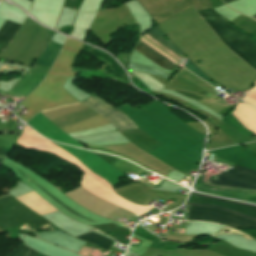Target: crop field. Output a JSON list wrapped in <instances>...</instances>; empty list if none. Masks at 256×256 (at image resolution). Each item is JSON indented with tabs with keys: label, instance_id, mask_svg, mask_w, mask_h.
I'll return each instance as SVG.
<instances>
[{
	"label": "crop field",
	"instance_id": "8a807250",
	"mask_svg": "<svg viewBox=\"0 0 256 256\" xmlns=\"http://www.w3.org/2000/svg\"><path fill=\"white\" fill-rule=\"evenodd\" d=\"M214 30L219 39L249 66L256 70V43L231 25L212 9L197 11Z\"/></svg>",
	"mask_w": 256,
	"mask_h": 256
},
{
	"label": "crop field",
	"instance_id": "ac0d7876",
	"mask_svg": "<svg viewBox=\"0 0 256 256\" xmlns=\"http://www.w3.org/2000/svg\"><path fill=\"white\" fill-rule=\"evenodd\" d=\"M187 220L223 223L232 228H256V222L238 215L207 207L189 206Z\"/></svg>",
	"mask_w": 256,
	"mask_h": 256
},
{
	"label": "crop field",
	"instance_id": "34b2d1b8",
	"mask_svg": "<svg viewBox=\"0 0 256 256\" xmlns=\"http://www.w3.org/2000/svg\"><path fill=\"white\" fill-rule=\"evenodd\" d=\"M97 113L105 116L110 122H112L119 130L137 128L126 116H124L117 109H113L100 99L96 97H90L81 102Z\"/></svg>",
	"mask_w": 256,
	"mask_h": 256
},
{
	"label": "crop field",
	"instance_id": "412701ff",
	"mask_svg": "<svg viewBox=\"0 0 256 256\" xmlns=\"http://www.w3.org/2000/svg\"><path fill=\"white\" fill-rule=\"evenodd\" d=\"M225 173L232 174V175L256 182V171H252V170L234 165L231 169L225 171ZM225 173L218 176L217 183L232 186V187H237V188L256 190L255 182L248 181V180L238 178L232 175H228Z\"/></svg>",
	"mask_w": 256,
	"mask_h": 256
},
{
	"label": "crop field",
	"instance_id": "f4fd0767",
	"mask_svg": "<svg viewBox=\"0 0 256 256\" xmlns=\"http://www.w3.org/2000/svg\"><path fill=\"white\" fill-rule=\"evenodd\" d=\"M147 35L151 36L153 39H155L156 41H158L159 43H161L163 46H165L166 48H168L170 51H172L173 53H175L177 56L182 55L183 53L176 48L171 42L164 40V34L162 33V31L159 29V27H155L153 28V30L149 31L148 33H146ZM145 35L144 38L145 40H147L149 43L153 44L154 46H156L157 48H159L160 50H162L163 52L167 53L168 55H170L171 57H173L178 63H180L181 60L179 57H177L176 55H174L172 52H170L168 49H166L165 47H163L161 44L157 43L156 41H154L152 38H150L149 36Z\"/></svg>",
	"mask_w": 256,
	"mask_h": 256
},
{
	"label": "crop field",
	"instance_id": "dd49c442",
	"mask_svg": "<svg viewBox=\"0 0 256 256\" xmlns=\"http://www.w3.org/2000/svg\"><path fill=\"white\" fill-rule=\"evenodd\" d=\"M142 46H144L145 48H147L149 51H151L152 53H154L155 55H157L158 57H160L161 59H163L165 62H167L168 64H170L171 66L174 67L175 62L167 57L166 55H164L162 52H160L159 50H157L156 48H154L153 46H151L149 43H147L145 40H141L140 43ZM141 45H138L137 48L135 50H137L138 52H140L141 54H143L144 56H146L147 58H149L150 60H152L153 62H155L156 64H158L159 66L163 67L164 69H166L167 71L170 72V70L173 68L170 65H168L167 63H165L163 60H161L160 58H158L157 56H155L154 54H152L151 52H149L148 50H146L144 47H142ZM162 68V69H163Z\"/></svg>",
	"mask_w": 256,
	"mask_h": 256
},
{
	"label": "crop field",
	"instance_id": "e52e79f7",
	"mask_svg": "<svg viewBox=\"0 0 256 256\" xmlns=\"http://www.w3.org/2000/svg\"><path fill=\"white\" fill-rule=\"evenodd\" d=\"M20 25L6 20L0 28V51L10 42Z\"/></svg>",
	"mask_w": 256,
	"mask_h": 256
},
{
	"label": "crop field",
	"instance_id": "d8731c3e",
	"mask_svg": "<svg viewBox=\"0 0 256 256\" xmlns=\"http://www.w3.org/2000/svg\"><path fill=\"white\" fill-rule=\"evenodd\" d=\"M61 48V45L54 44L49 42L45 50L40 55L37 64H42L45 66L50 67V65L53 63L56 55L58 54L59 50Z\"/></svg>",
	"mask_w": 256,
	"mask_h": 256
},
{
	"label": "crop field",
	"instance_id": "5a996713",
	"mask_svg": "<svg viewBox=\"0 0 256 256\" xmlns=\"http://www.w3.org/2000/svg\"><path fill=\"white\" fill-rule=\"evenodd\" d=\"M79 239H82L84 241H87L91 244L98 245L106 250V248L113 242V240L108 239L106 237H103L99 234H96L94 232L85 234L83 236L77 237Z\"/></svg>",
	"mask_w": 256,
	"mask_h": 256
},
{
	"label": "crop field",
	"instance_id": "3316defc",
	"mask_svg": "<svg viewBox=\"0 0 256 256\" xmlns=\"http://www.w3.org/2000/svg\"><path fill=\"white\" fill-rule=\"evenodd\" d=\"M128 69L149 73V74H152V75H155V76L167 79V80H169V78H170V76H168V75H166V74H164V73H162V72H160V71H158L154 68L139 65V64H135V63H131V62H129Z\"/></svg>",
	"mask_w": 256,
	"mask_h": 256
},
{
	"label": "crop field",
	"instance_id": "28ad6ade",
	"mask_svg": "<svg viewBox=\"0 0 256 256\" xmlns=\"http://www.w3.org/2000/svg\"><path fill=\"white\" fill-rule=\"evenodd\" d=\"M194 195H196V196H201V197H206V198H211V199H216V200H222V201L232 202V203H235V204H238V205H244V206H250V207H255V208H256V206H253V205L238 203V202H234V201H230V200H226V199H222V198H218V197L207 196V195H202V194H198V193H194ZM188 205H199V206L216 207V208H220V209H223V210H227V211L236 213V214H238V215H241V216H244V217H246V218H249V219H252V220H255V221H256V218H253V217H250V216H246V215L240 214V213H238V212H235V211H232V210H229V209H227V208L220 207V206H217V205L196 204V203H189Z\"/></svg>",
	"mask_w": 256,
	"mask_h": 256
},
{
	"label": "crop field",
	"instance_id": "d1516ede",
	"mask_svg": "<svg viewBox=\"0 0 256 256\" xmlns=\"http://www.w3.org/2000/svg\"><path fill=\"white\" fill-rule=\"evenodd\" d=\"M37 252L27 248L23 244L20 245L17 251H12L8 256H36Z\"/></svg>",
	"mask_w": 256,
	"mask_h": 256
},
{
	"label": "crop field",
	"instance_id": "22f410ed",
	"mask_svg": "<svg viewBox=\"0 0 256 256\" xmlns=\"http://www.w3.org/2000/svg\"><path fill=\"white\" fill-rule=\"evenodd\" d=\"M184 67L188 70H190L191 72H193L194 74L198 75L199 77H201L202 79L206 80L207 82H209L213 87H217V85H215L213 82H211L209 80V78L207 76H205L197 67H195L189 60L187 61V63L184 65Z\"/></svg>",
	"mask_w": 256,
	"mask_h": 256
},
{
	"label": "crop field",
	"instance_id": "cbeb9de0",
	"mask_svg": "<svg viewBox=\"0 0 256 256\" xmlns=\"http://www.w3.org/2000/svg\"><path fill=\"white\" fill-rule=\"evenodd\" d=\"M9 154V151L0 148V165Z\"/></svg>",
	"mask_w": 256,
	"mask_h": 256
},
{
	"label": "crop field",
	"instance_id": "5142ce71",
	"mask_svg": "<svg viewBox=\"0 0 256 256\" xmlns=\"http://www.w3.org/2000/svg\"><path fill=\"white\" fill-rule=\"evenodd\" d=\"M225 3H227V2H230V1H232V0H223Z\"/></svg>",
	"mask_w": 256,
	"mask_h": 256
},
{
	"label": "crop field",
	"instance_id": "d9b57169",
	"mask_svg": "<svg viewBox=\"0 0 256 256\" xmlns=\"http://www.w3.org/2000/svg\"><path fill=\"white\" fill-rule=\"evenodd\" d=\"M76 104H79V103H76ZM76 104H72V105H76ZM68 106H70V105H68ZM60 108V107H59ZM56 109V108H55ZM52 110V109H51ZM48 111V110H47ZM44 112V111H43ZM40 113H42V112H40Z\"/></svg>",
	"mask_w": 256,
	"mask_h": 256
},
{
	"label": "crop field",
	"instance_id": "733c2abd",
	"mask_svg": "<svg viewBox=\"0 0 256 256\" xmlns=\"http://www.w3.org/2000/svg\"><path fill=\"white\" fill-rule=\"evenodd\" d=\"M38 256H44V255H42V254L39 253Z\"/></svg>",
	"mask_w": 256,
	"mask_h": 256
},
{
	"label": "crop field",
	"instance_id": "4a817a6b",
	"mask_svg": "<svg viewBox=\"0 0 256 256\" xmlns=\"http://www.w3.org/2000/svg\"><path fill=\"white\" fill-rule=\"evenodd\" d=\"M252 18H256V15H255V16H253Z\"/></svg>",
	"mask_w": 256,
	"mask_h": 256
}]
</instances>
